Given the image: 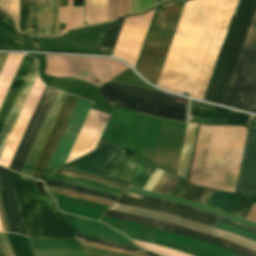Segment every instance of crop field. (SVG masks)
Returning <instances> with one entry per match:
<instances>
[{"mask_svg":"<svg viewBox=\"0 0 256 256\" xmlns=\"http://www.w3.org/2000/svg\"><path fill=\"white\" fill-rule=\"evenodd\" d=\"M91 105L79 99L46 173L64 165Z\"/></svg>","mask_w":256,"mask_h":256,"instance_id":"d1516ede","label":"crop field"},{"mask_svg":"<svg viewBox=\"0 0 256 256\" xmlns=\"http://www.w3.org/2000/svg\"><path fill=\"white\" fill-rule=\"evenodd\" d=\"M0 198L11 231L28 236L9 180L7 170L2 167H0Z\"/></svg>","mask_w":256,"mask_h":256,"instance_id":"bc2a9ffb","label":"crop field"},{"mask_svg":"<svg viewBox=\"0 0 256 256\" xmlns=\"http://www.w3.org/2000/svg\"><path fill=\"white\" fill-rule=\"evenodd\" d=\"M222 0L185 3L157 86L189 93Z\"/></svg>","mask_w":256,"mask_h":256,"instance_id":"8a807250","label":"crop field"},{"mask_svg":"<svg viewBox=\"0 0 256 256\" xmlns=\"http://www.w3.org/2000/svg\"><path fill=\"white\" fill-rule=\"evenodd\" d=\"M56 171H62V172H68V173H73V174H79V175H82V176L92 177V178H96V179H99V180H103V181H106V182H109V183H112V184H116V185H119V186H123V187H126V188L131 187V186H129V185H125V184L113 182V181H110V180H106V179H103V178H99V177H95V176H91V175H87V174H83V173H79V172H75V171H71V170L57 169ZM56 171H52L51 173L67 175V176H71V177H75V178H80V179H86V180L98 182V183H101V184H104V185H107V186L116 187V188L122 189V190H124V191L126 190V188L119 187V186H116V185H112V184H109V183H106V182H102V181H99V180H96V179L87 178V177H82V176H77V175H72V174H66V173L56 172Z\"/></svg>","mask_w":256,"mask_h":256,"instance_id":"e1f06a70","label":"crop field"},{"mask_svg":"<svg viewBox=\"0 0 256 256\" xmlns=\"http://www.w3.org/2000/svg\"><path fill=\"white\" fill-rule=\"evenodd\" d=\"M67 225L76 233L94 237L97 239L128 245L142 249L134 244L132 241L127 239L122 234L112 230L111 228L95 221L75 217L73 215L59 213Z\"/></svg>","mask_w":256,"mask_h":256,"instance_id":"4a817a6b","label":"crop field"},{"mask_svg":"<svg viewBox=\"0 0 256 256\" xmlns=\"http://www.w3.org/2000/svg\"><path fill=\"white\" fill-rule=\"evenodd\" d=\"M29 239V238H28ZM31 248H79L82 249L77 240H39L29 239Z\"/></svg>","mask_w":256,"mask_h":256,"instance_id":"bd1437ed","label":"crop field"},{"mask_svg":"<svg viewBox=\"0 0 256 256\" xmlns=\"http://www.w3.org/2000/svg\"><path fill=\"white\" fill-rule=\"evenodd\" d=\"M255 197L256 195L242 193L234 208L232 209L231 214L245 218Z\"/></svg>","mask_w":256,"mask_h":256,"instance_id":"028f5c9d","label":"crop field"},{"mask_svg":"<svg viewBox=\"0 0 256 256\" xmlns=\"http://www.w3.org/2000/svg\"><path fill=\"white\" fill-rule=\"evenodd\" d=\"M0 50H37L40 51L37 43L18 42L0 36Z\"/></svg>","mask_w":256,"mask_h":256,"instance_id":"d32e631a","label":"crop field"},{"mask_svg":"<svg viewBox=\"0 0 256 256\" xmlns=\"http://www.w3.org/2000/svg\"><path fill=\"white\" fill-rule=\"evenodd\" d=\"M8 54L0 53V70Z\"/></svg>","mask_w":256,"mask_h":256,"instance_id":"d23c7cc5","label":"crop field"},{"mask_svg":"<svg viewBox=\"0 0 256 256\" xmlns=\"http://www.w3.org/2000/svg\"><path fill=\"white\" fill-rule=\"evenodd\" d=\"M142 167H143V164H140L139 167H138V169H137V171L135 172V174H134V176H133V178H132V181H135V179H136V177L138 176V174H139V172H140V170H141Z\"/></svg>","mask_w":256,"mask_h":256,"instance_id":"425ffa30","label":"crop field"},{"mask_svg":"<svg viewBox=\"0 0 256 256\" xmlns=\"http://www.w3.org/2000/svg\"><path fill=\"white\" fill-rule=\"evenodd\" d=\"M116 202L178 215L193 221H197L209 226H213V227H215V225L218 223V220H215L206 216H202V215H199L178 207L170 206V205L141 201V200L131 199L123 196H121ZM216 228L229 231L231 233L246 237L256 242V234L246 229H243L241 227L233 226V225L219 221V223L216 225Z\"/></svg>","mask_w":256,"mask_h":256,"instance_id":"28ad6ade","label":"crop field"},{"mask_svg":"<svg viewBox=\"0 0 256 256\" xmlns=\"http://www.w3.org/2000/svg\"><path fill=\"white\" fill-rule=\"evenodd\" d=\"M129 153V152H128ZM127 152L121 157L109 173L110 176L131 180L140 162Z\"/></svg>","mask_w":256,"mask_h":256,"instance_id":"eef30255","label":"crop field"},{"mask_svg":"<svg viewBox=\"0 0 256 256\" xmlns=\"http://www.w3.org/2000/svg\"><path fill=\"white\" fill-rule=\"evenodd\" d=\"M55 91V89L45 87L38 105L34 111V114L30 120V123L21 140V143L17 149V152L13 158V161L9 167L10 169L18 173L20 172Z\"/></svg>","mask_w":256,"mask_h":256,"instance_id":"22f410ed","label":"crop field"},{"mask_svg":"<svg viewBox=\"0 0 256 256\" xmlns=\"http://www.w3.org/2000/svg\"><path fill=\"white\" fill-rule=\"evenodd\" d=\"M99 88L108 105L186 121L187 104L174 102V99L187 101L185 98L112 80Z\"/></svg>","mask_w":256,"mask_h":256,"instance_id":"34b2d1b8","label":"crop field"},{"mask_svg":"<svg viewBox=\"0 0 256 256\" xmlns=\"http://www.w3.org/2000/svg\"><path fill=\"white\" fill-rule=\"evenodd\" d=\"M76 236L83 237V240H87V241H91V242H95V243H99V244H103V245H107V246H111V247H115V248H120V249H125V250H130V251L137 252V251H135L136 248L125 247V246H121V245H117V244H110V243H106V242H103V241H100V240H97V239H94V238L86 237V236H83V235H79V234H76ZM138 253H141V252H138ZM142 254H146V255H149V256H158L156 254H153L151 252H146V251H144Z\"/></svg>","mask_w":256,"mask_h":256,"instance_id":"c035e120","label":"crop field"},{"mask_svg":"<svg viewBox=\"0 0 256 256\" xmlns=\"http://www.w3.org/2000/svg\"><path fill=\"white\" fill-rule=\"evenodd\" d=\"M249 129L256 130V121ZM235 192L256 193V131L248 130Z\"/></svg>","mask_w":256,"mask_h":256,"instance_id":"d9b57169","label":"crop field"},{"mask_svg":"<svg viewBox=\"0 0 256 256\" xmlns=\"http://www.w3.org/2000/svg\"><path fill=\"white\" fill-rule=\"evenodd\" d=\"M78 99V97L72 95L67 96L55 122V125L51 131V134L47 140V143L43 149V152L39 158V161L35 167V170L31 176L32 178L38 179L43 176Z\"/></svg>","mask_w":256,"mask_h":256,"instance_id":"733c2abd","label":"crop field"},{"mask_svg":"<svg viewBox=\"0 0 256 256\" xmlns=\"http://www.w3.org/2000/svg\"><path fill=\"white\" fill-rule=\"evenodd\" d=\"M83 26V7H73V0H60V35Z\"/></svg>","mask_w":256,"mask_h":256,"instance_id":"00972430","label":"crop field"},{"mask_svg":"<svg viewBox=\"0 0 256 256\" xmlns=\"http://www.w3.org/2000/svg\"><path fill=\"white\" fill-rule=\"evenodd\" d=\"M123 196L178 206V207H181V208H184V209H187V210L199 213V214H203V215H206V216H209V217H212V218H215V219H218V220L230 223V224L241 226L243 228H246V229L251 230V231L256 233V229H254L252 227H249L247 225H244V224H241V223H237V222H234V221H231V220L219 217L217 215H214V214L202 211V210H198V209H195V208H192V207H188V206H185V205H182V204H178V203H175V202H171V201H167V200H161V199H155V198H150V197L141 196V195H135V194L127 193V192H124Z\"/></svg>","mask_w":256,"mask_h":256,"instance_id":"d3111659","label":"crop field"},{"mask_svg":"<svg viewBox=\"0 0 256 256\" xmlns=\"http://www.w3.org/2000/svg\"><path fill=\"white\" fill-rule=\"evenodd\" d=\"M113 228L120 231L121 233L125 234L126 236H128L130 238L157 244V245H161V246H165V247H169V248H173L178 251H181V252H184L187 254H191L194 256H216V255H213L210 253H206V252L191 248V247L183 245V244L163 240L160 238H156V237H152V236H148V235H144V234H140V233H136V232L120 229V228H115V227H113Z\"/></svg>","mask_w":256,"mask_h":256,"instance_id":"4177f3b9","label":"crop field"},{"mask_svg":"<svg viewBox=\"0 0 256 256\" xmlns=\"http://www.w3.org/2000/svg\"><path fill=\"white\" fill-rule=\"evenodd\" d=\"M0 251H1L3 256H7L5 251H4V249H3V247H2V245H1V243H0Z\"/></svg>","mask_w":256,"mask_h":256,"instance_id":"25e5ab78","label":"crop field"},{"mask_svg":"<svg viewBox=\"0 0 256 256\" xmlns=\"http://www.w3.org/2000/svg\"><path fill=\"white\" fill-rule=\"evenodd\" d=\"M36 68H37V62L34 60L30 68V71L25 79V82L19 92V95L14 103V106L9 114V117L4 125V128L0 134V159L7 145V142L10 138V135L13 131V128L16 124V121L19 117V114L22 110V107L25 103V100L28 96V93L31 89V86L34 82V79L37 75Z\"/></svg>","mask_w":256,"mask_h":256,"instance_id":"214f88e0","label":"crop field"},{"mask_svg":"<svg viewBox=\"0 0 256 256\" xmlns=\"http://www.w3.org/2000/svg\"><path fill=\"white\" fill-rule=\"evenodd\" d=\"M47 179L49 180H54V181H60V182H65V183H69V184H73V185H77V186H83V187H87V188H91V189H95L104 193H108V194H112V195H116L119 196L121 193H123V191H119L107 186H103L94 182H90V181H86V180H80V179H74V178H70V177H66V176H62V175H55V174H50L48 175Z\"/></svg>","mask_w":256,"mask_h":256,"instance_id":"ae1a2a85","label":"crop field"},{"mask_svg":"<svg viewBox=\"0 0 256 256\" xmlns=\"http://www.w3.org/2000/svg\"><path fill=\"white\" fill-rule=\"evenodd\" d=\"M110 209L116 210V211H121V212H126V213H131V214H135V215H140V216H144V217H149V218L161 220L164 222L181 225V226L191 228L194 230L206 232V233L230 240L232 242L238 243L240 245H243L247 248H250V249L256 251V243L253 241H250L246 238L228 233L226 231L212 228V227H209V226L197 223V222H193V221H190V220L178 217V216L161 213V212H156V211H152V210H147V209H142V208H137V207H132V206H127V205H122V204H118V203H115Z\"/></svg>","mask_w":256,"mask_h":256,"instance_id":"3316defc","label":"crop field"},{"mask_svg":"<svg viewBox=\"0 0 256 256\" xmlns=\"http://www.w3.org/2000/svg\"><path fill=\"white\" fill-rule=\"evenodd\" d=\"M154 10L125 18L112 56L135 67Z\"/></svg>","mask_w":256,"mask_h":256,"instance_id":"e52e79f7","label":"crop field"},{"mask_svg":"<svg viewBox=\"0 0 256 256\" xmlns=\"http://www.w3.org/2000/svg\"><path fill=\"white\" fill-rule=\"evenodd\" d=\"M0 256H2L1 253H0Z\"/></svg>","mask_w":256,"mask_h":256,"instance_id":"73cf0c24","label":"crop field"},{"mask_svg":"<svg viewBox=\"0 0 256 256\" xmlns=\"http://www.w3.org/2000/svg\"><path fill=\"white\" fill-rule=\"evenodd\" d=\"M213 190H209L207 189V191L205 192V194L202 196V198L199 200V203H203L205 204L206 201L210 198V196L213 194Z\"/></svg>","mask_w":256,"mask_h":256,"instance_id":"5d738f31","label":"crop field"},{"mask_svg":"<svg viewBox=\"0 0 256 256\" xmlns=\"http://www.w3.org/2000/svg\"><path fill=\"white\" fill-rule=\"evenodd\" d=\"M37 36H59L58 0H37Z\"/></svg>","mask_w":256,"mask_h":256,"instance_id":"dafd665d","label":"crop field"},{"mask_svg":"<svg viewBox=\"0 0 256 256\" xmlns=\"http://www.w3.org/2000/svg\"><path fill=\"white\" fill-rule=\"evenodd\" d=\"M0 7L6 9L17 23L20 31L21 12V32L35 35V0H0Z\"/></svg>","mask_w":256,"mask_h":256,"instance_id":"92a150f3","label":"crop field"},{"mask_svg":"<svg viewBox=\"0 0 256 256\" xmlns=\"http://www.w3.org/2000/svg\"><path fill=\"white\" fill-rule=\"evenodd\" d=\"M124 20V19H123ZM123 20H121L120 22L116 23V24H109L101 49L103 51H109L112 52L114 45L116 43L120 28L122 26Z\"/></svg>","mask_w":256,"mask_h":256,"instance_id":"120bbe31","label":"crop field"},{"mask_svg":"<svg viewBox=\"0 0 256 256\" xmlns=\"http://www.w3.org/2000/svg\"><path fill=\"white\" fill-rule=\"evenodd\" d=\"M66 95V93L58 90L56 91L50 107L46 113V116L42 122V125L39 129V132L24 163V166L20 172L21 174L29 177L31 176Z\"/></svg>","mask_w":256,"mask_h":256,"instance_id":"cbeb9de0","label":"crop field"},{"mask_svg":"<svg viewBox=\"0 0 256 256\" xmlns=\"http://www.w3.org/2000/svg\"><path fill=\"white\" fill-rule=\"evenodd\" d=\"M179 181L180 178L164 172L153 191L171 195Z\"/></svg>","mask_w":256,"mask_h":256,"instance_id":"1d83c4d3","label":"crop field"},{"mask_svg":"<svg viewBox=\"0 0 256 256\" xmlns=\"http://www.w3.org/2000/svg\"><path fill=\"white\" fill-rule=\"evenodd\" d=\"M251 115L191 101L189 121L203 124H235L245 125Z\"/></svg>","mask_w":256,"mask_h":256,"instance_id":"5142ce71","label":"crop field"},{"mask_svg":"<svg viewBox=\"0 0 256 256\" xmlns=\"http://www.w3.org/2000/svg\"><path fill=\"white\" fill-rule=\"evenodd\" d=\"M126 191L131 192V193H135V194H141V195H146V196H150V197L167 199V200L179 202V203L189 205V206H192V207H195V208H198V209H202V210H205V211H208V212L220 215L222 217H225V218L237 221V222H241V223H244V224H247L249 226H252V227L256 228V224L251 223L247 220L228 215V214H226L224 212H221L219 210H215V209H212V208H209L207 206L200 205V204H197V203H194V202H191V201H187V200H183V199H179V198H175V197H170V196H165V195H160V194H155V193H150V192H146V191H140V190H136V189H132V188H129Z\"/></svg>","mask_w":256,"mask_h":256,"instance_id":"730fd06b","label":"crop field"},{"mask_svg":"<svg viewBox=\"0 0 256 256\" xmlns=\"http://www.w3.org/2000/svg\"><path fill=\"white\" fill-rule=\"evenodd\" d=\"M134 241L137 242L140 246L148 250L154 251L162 256H188L186 254L174 251L169 248H165V247H161V246H157V245H153V244H149V243H145L137 240H134Z\"/></svg>","mask_w":256,"mask_h":256,"instance_id":"0bd39190","label":"crop field"},{"mask_svg":"<svg viewBox=\"0 0 256 256\" xmlns=\"http://www.w3.org/2000/svg\"><path fill=\"white\" fill-rule=\"evenodd\" d=\"M44 181H45V184H47V185L61 187V188H65V189H69V190H73V191H77V192H81V193H85V194H89V195H93V196L113 200V201H115L117 199L116 196L107 195V194H104V193H101V192H98V191H94V190H91V189H87V188L77 187V186H73V185H69V184H65V183H60V182L49 181L47 179H45Z\"/></svg>","mask_w":256,"mask_h":256,"instance_id":"5866460e","label":"crop field"},{"mask_svg":"<svg viewBox=\"0 0 256 256\" xmlns=\"http://www.w3.org/2000/svg\"><path fill=\"white\" fill-rule=\"evenodd\" d=\"M240 194H231L215 191L206 205L230 213Z\"/></svg>","mask_w":256,"mask_h":256,"instance_id":"750c4746","label":"crop field"},{"mask_svg":"<svg viewBox=\"0 0 256 256\" xmlns=\"http://www.w3.org/2000/svg\"><path fill=\"white\" fill-rule=\"evenodd\" d=\"M0 20H2L6 25L10 26L12 29L16 31L12 18L3 11H0Z\"/></svg>","mask_w":256,"mask_h":256,"instance_id":"03da06ac","label":"crop field"},{"mask_svg":"<svg viewBox=\"0 0 256 256\" xmlns=\"http://www.w3.org/2000/svg\"><path fill=\"white\" fill-rule=\"evenodd\" d=\"M205 191H206L205 188L198 187L194 192V194L192 195V197L190 198V200L198 202V200L201 198V196L204 194Z\"/></svg>","mask_w":256,"mask_h":256,"instance_id":"b54c1fbb","label":"crop field"},{"mask_svg":"<svg viewBox=\"0 0 256 256\" xmlns=\"http://www.w3.org/2000/svg\"><path fill=\"white\" fill-rule=\"evenodd\" d=\"M155 168L144 166L133 187L143 189Z\"/></svg>","mask_w":256,"mask_h":256,"instance_id":"b80d0937","label":"crop field"},{"mask_svg":"<svg viewBox=\"0 0 256 256\" xmlns=\"http://www.w3.org/2000/svg\"><path fill=\"white\" fill-rule=\"evenodd\" d=\"M184 3H172L157 10L136 69L153 84H156Z\"/></svg>","mask_w":256,"mask_h":256,"instance_id":"f4fd0767","label":"crop field"},{"mask_svg":"<svg viewBox=\"0 0 256 256\" xmlns=\"http://www.w3.org/2000/svg\"><path fill=\"white\" fill-rule=\"evenodd\" d=\"M104 215L113 217V218H117V219H121V220H125V221H129V222H134V223L162 229V230H166V231H170V232H175V233L191 236V237L203 240V241L214 243L220 247H223L225 249H228L230 251L236 252V253L244 255V256H256V252H254L250 249H247L245 247H242L238 244L229 242L227 240H224V239H221V238H218V237L206 234V233H202V232L190 230V229H187L184 227H180L177 225L168 224V223L160 222V221L149 219V218H144V217H140V216H135V215L111 211V210H108Z\"/></svg>","mask_w":256,"mask_h":256,"instance_id":"5a996713","label":"crop field"},{"mask_svg":"<svg viewBox=\"0 0 256 256\" xmlns=\"http://www.w3.org/2000/svg\"><path fill=\"white\" fill-rule=\"evenodd\" d=\"M124 153L125 151L114 145L108 144L103 140L102 144L96 150L61 168L80 171L133 185V182H126L107 176L112 167Z\"/></svg>","mask_w":256,"mask_h":256,"instance_id":"d8731c3e","label":"crop field"},{"mask_svg":"<svg viewBox=\"0 0 256 256\" xmlns=\"http://www.w3.org/2000/svg\"><path fill=\"white\" fill-rule=\"evenodd\" d=\"M195 189L196 187L186 182L184 186L181 188L178 197L189 200L190 196L192 195Z\"/></svg>","mask_w":256,"mask_h":256,"instance_id":"c21b1889","label":"crop field"},{"mask_svg":"<svg viewBox=\"0 0 256 256\" xmlns=\"http://www.w3.org/2000/svg\"><path fill=\"white\" fill-rule=\"evenodd\" d=\"M222 104L256 113V9Z\"/></svg>","mask_w":256,"mask_h":256,"instance_id":"412701ff","label":"crop field"},{"mask_svg":"<svg viewBox=\"0 0 256 256\" xmlns=\"http://www.w3.org/2000/svg\"><path fill=\"white\" fill-rule=\"evenodd\" d=\"M12 186L31 238L76 239L62 222L52 198L37 197L32 180L8 170Z\"/></svg>","mask_w":256,"mask_h":256,"instance_id":"ac0d7876","label":"crop field"},{"mask_svg":"<svg viewBox=\"0 0 256 256\" xmlns=\"http://www.w3.org/2000/svg\"><path fill=\"white\" fill-rule=\"evenodd\" d=\"M33 60H34L33 58H29L26 56L21 67H20V70L14 80V83H13V85L8 93V96L2 106V109L0 111V131L3 127V124L9 114V111L15 101V98L21 88V85L28 73V70H29Z\"/></svg>","mask_w":256,"mask_h":256,"instance_id":"a9b5d70f","label":"crop field"},{"mask_svg":"<svg viewBox=\"0 0 256 256\" xmlns=\"http://www.w3.org/2000/svg\"><path fill=\"white\" fill-rule=\"evenodd\" d=\"M255 6L256 0H240L205 100L222 103Z\"/></svg>","mask_w":256,"mask_h":256,"instance_id":"dd49c442","label":"crop field"}]
</instances>
